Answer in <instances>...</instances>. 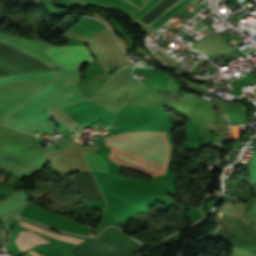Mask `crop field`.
<instances>
[{
    "label": "crop field",
    "instance_id": "obj_1",
    "mask_svg": "<svg viewBox=\"0 0 256 256\" xmlns=\"http://www.w3.org/2000/svg\"><path fill=\"white\" fill-rule=\"evenodd\" d=\"M58 49L70 57L77 66L93 61L92 56L84 46L59 47Z\"/></svg>",
    "mask_w": 256,
    "mask_h": 256
},
{
    "label": "crop field",
    "instance_id": "obj_2",
    "mask_svg": "<svg viewBox=\"0 0 256 256\" xmlns=\"http://www.w3.org/2000/svg\"><path fill=\"white\" fill-rule=\"evenodd\" d=\"M15 233L25 252L40 244L46 243L44 240L27 229L16 231Z\"/></svg>",
    "mask_w": 256,
    "mask_h": 256
},
{
    "label": "crop field",
    "instance_id": "obj_3",
    "mask_svg": "<svg viewBox=\"0 0 256 256\" xmlns=\"http://www.w3.org/2000/svg\"><path fill=\"white\" fill-rule=\"evenodd\" d=\"M87 161L90 166V170L97 172H109L106 158L104 156L87 150Z\"/></svg>",
    "mask_w": 256,
    "mask_h": 256
},
{
    "label": "crop field",
    "instance_id": "obj_4",
    "mask_svg": "<svg viewBox=\"0 0 256 256\" xmlns=\"http://www.w3.org/2000/svg\"><path fill=\"white\" fill-rule=\"evenodd\" d=\"M20 224H21V225H24V226H26V227L35 229V230H37V231H40V232L49 234V235H51V236L60 238V239H62V240L71 242V243L76 244V245H78L80 242L84 241V239H80V238H76V237H72V236H68V235H64V234L52 233V232H49V231H47V230H45V229H43V228H41V227L35 226V225H33V224H30V223H26V222H23V221H21Z\"/></svg>",
    "mask_w": 256,
    "mask_h": 256
},
{
    "label": "crop field",
    "instance_id": "obj_5",
    "mask_svg": "<svg viewBox=\"0 0 256 256\" xmlns=\"http://www.w3.org/2000/svg\"><path fill=\"white\" fill-rule=\"evenodd\" d=\"M49 56H52L55 60L61 63L67 70L76 69L77 66L62 52L58 51L55 48H51L47 51Z\"/></svg>",
    "mask_w": 256,
    "mask_h": 256
},
{
    "label": "crop field",
    "instance_id": "obj_6",
    "mask_svg": "<svg viewBox=\"0 0 256 256\" xmlns=\"http://www.w3.org/2000/svg\"><path fill=\"white\" fill-rule=\"evenodd\" d=\"M191 0H181L178 4H176L173 8H171L167 13H165L162 17H160L157 21H155L150 27L156 29L162 23H164L167 19L173 16L176 12H178L181 8H183L186 4H188Z\"/></svg>",
    "mask_w": 256,
    "mask_h": 256
},
{
    "label": "crop field",
    "instance_id": "obj_7",
    "mask_svg": "<svg viewBox=\"0 0 256 256\" xmlns=\"http://www.w3.org/2000/svg\"><path fill=\"white\" fill-rule=\"evenodd\" d=\"M34 250L39 251V252L44 253V254H47L49 256H63V255H60V254H58L56 252H53L51 250H48V249H45V248H42V247H38V248H36ZM29 254H31L33 256H41L39 254H35V253H32V252H30Z\"/></svg>",
    "mask_w": 256,
    "mask_h": 256
},
{
    "label": "crop field",
    "instance_id": "obj_8",
    "mask_svg": "<svg viewBox=\"0 0 256 256\" xmlns=\"http://www.w3.org/2000/svg\"><path fill=\"white\" fill-rule=\"evenodd\" d=\"M125 1H126V0H125ZM141 1H143V2H144L145 0H141ZM127 2H128V1H127ZM129 3H130V2H129ZM130 4H131V3H130ZM132 5H133V4H132ZM134 6H135V5H134ZM136 7H137V6H136Z\"/></svg>",
    "mask_w": 256,
    "mask_h": 256
}]
</instances>
